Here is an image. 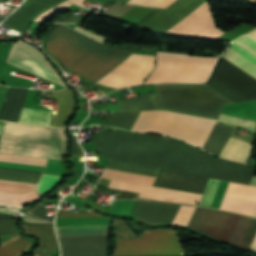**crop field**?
Listing matches in <instances>:
<instances>
[{"label":"crop field","instance_id":"obj_1","mask_svg":"<svg viewBox=\"0 0 256 256\" xmlns=\"http://www.w3.org/2000/svg\"><path fill=\"white\" fill-rule=\"evenodd\" d=\"M95 151L105 158L168 168L222 180L250 184L255 167L220 159L174 139L158 136L98 132Z\"/></svg>","mask_w":256,"mask_h":256},{"label":"crop field","instance_id":"obj_2","mask_svg":"<svg viewBox=\"0 0 256 256\" xmlns=\"http://www.w3.org/2000/svg\"><path fill=\"white\" fill-rule=\"evenodd\" d=\"M66 27L51 26L46 34L45 49L69 69L100 44ZM132 52L101 44L69 70L95 82Z\"/></svg>","mask_w":256,"mask_h":256},{"label":"crop field","instance_id":"obj_3","mask_svg":"<svg viewBox=\"0 0 256 256\" xmlns=\"http://www.w3.org/2000/svg\"><path fill=\"white\" fill-rule=\"evenodd\" d=\"M66 130L5 122L0 152L63 160L69 155Z\"/></svg>","mask_w":256,"mask_h":256},{"label":"crop field","instance_id":"obj_4","mask_svg":"<svg viewBox=\"0 0 256 256\" xmlns=\"http://www.w3.org/2000/svg\"><path fill=\"white\" fill-rule=\"evenodd\" d=\"M155 86L157 92L151 96L156 109L218 118L222 107L233 103L206 84H155Z\"/></svg>","mask_w":256,"mask_h":256},{"label":"crop field","instance_id":"obj_5","mask_svg":"<svg viewBox=\"0 0 256 256\" xmlns=\"http://www.w3.org/2000/svg\"><path fill=\"white\" fill-rule=\"evenodd\" d=\"M215 122L173 112L148 111L141 112L132 130L178 137L203 148Z\"/></svg>","mask_w":256,"mask_h":256},{"label":"crop field","instance_id":"obj_6","mask_svg":"<svg viewBox=\"0 0 256 256\" xmlns=\"http://www.w3.org/2000/svg\"><path fill=\"white\" fill-rule=\"evenodd\" d=\"M216 58L157 52V66L146 83L204 82Z\"/></svg>","mask_w":256,"mask_h":256},{"label":"crop field","instance_id":"obj_7","mask_svg":"<svg viewBox=\"0 0 256 256\" xmlns=\"http://www.w3.org/2000/svg\"><path fill=\"white\" fill-rule=\"evenodd\" d=\"M236 183L209 179L200 205L224 210ZM256 205V187L236 184L226 211L251 215Z\"/></svg>","mask_w":256,"mask_h":256},{"label":"crop field","instance_id":"obj_8","mask_svg":"<svg viewBox=\"0 0 256 256\" xmlns=\"http://www.w3.org/2000/svg\"><path fill=\"white\" fill-rule=\"evenodd\" d=\"M118 239L115 256L183 254L174 233L170 230L146 231L142 239Z\"/></svg>","mask_w":256,"mask_h":256},{"label":"crop field","instance_id":"obj_9","mask_svg":"<svg viewBox=\"0 0 256 256\" xmlns=\"http://www.w3.org/2000/svg\"><path fill=\"white\" fill-rule=\"evenodd\" d=\"M153 65L154 57L132 54L96 83L116 89L141 84Z\"/></svg>","mask_w":256,"mask_h":256},{"label":"crop field","instance_id":"obj_10","mask_svg":"<svg viewBox=\"0 0 256 256\" xmlns=\"http://www.w3.org/2000/svg\"><path fill=\"white\" fill-rule=\"evenodd\" d=\"M165 33L204 39H215L224 34L216 26L206 1Z\"/></svg>","mask_w":256,"mask_h":256},{"label":"crop field","instance_id":"obj_11","mask_svg":"<svg viewBox=\"0 0 256 256\" xmlns=\"http://www.w3.org/2000/svg\"><path fill=\"white\" fill-rule=\"evenodd\" d=\"M6 62L65 86L44 56L20 40L14 43Z\"/></svg>","mask_w":256,"mask_h":256},{"label":"crop field","instance_id":"obj_12","mask_svg":"<svg viewBox=\"0 0 256 256\" xmlns=\"http://www.w3.org/2000/svg\"><path fill=\"white\" fill-rule=\"evenodd\" d=\"M233 130L232 128L215 125L204 149L220 156ZM251 148L252 145L244 141L230 138L220 157L246 163Z\"/></svg>","mask_w":256,"mask_h":256},{"label":"crop field","instance_id":"obj_13","mask_svg":"<svg viewBox=\"0 0 256 256\" xmlns=\"http://www.w3.org/2000/svg\"><path fill=\"white\" fill-rule=\"evenodd\" d=\"M205 0H177L166 9L156 8L136 26L164 33Z\"/></svg>","mask_w":256,"mask_h":256},{"label":"crop field","instance_id":"obj_14","mask_svg":"<svg viewBox=\"0 0 256 256\" xmlns=\"http://www.w3.org/2000/svg\"><path fill=\"white\" fill-rule=\"evenodd\" d=\"M62 256H106L108 235L58 236Z\"/></svg>","mask_w":256,"mask_h":256},{"label":"crop field","instance_id":"obj_15","mask_svg":"<svg viewBox=\"0 0 256 256\" xmlns=\"http://www.w3.org/2000/svg\"><path fill=\"white\" fill-rule=\"evenodd\" d=\"M221 59L256 80V42L249 37L234 40Z\"/></svg>","mask_w":256,"mask_h":256},{"label":"crop field","instance_id":"obj_16","mask_svg":"<svg viewBox=\"0 0 256 256\" xmlns=\"http://www.w3.org/2000/svg\"><path fill=\"white\" fill-rule=\"evenodd\" d=\"M110 188L140 193L139 197L195 205L202 195L112 180Z\"/></svg>","mask_w":256,"mask_h":256},{"label":"crop field","instance_id":"obj_17","mask_svg":"<svg viewBox=\"0 0 256 256\" xmlns=\"http://www.w3.org/2000/svg\"><path fill=\"white\" fill-rule=\"evenodd\" d=\"M207 179L206 177L161 169L154 186L202 194Z\"/></svg>","mask_w":256,"mask_h":256},{"label":"crop field","instance_id":"obj_18","mask_svg":"<svg viewBox=\"0 0 256 256\" xmlns=\"http://www.w3.org/2000/svg\"><path fill=\"white\" fill-rule=\"evenodd\" d=\"M180 206L137 200L132 213L146 223L171 224Z\"/></svg>","mask_w":256,"mask_h":256},{"label":"crop field","instance_id":"obj_19","mask_svg":"<svg viewBox=\"0 0 256 256\" xmlns=\"http://www.w3.org/2000/svg\"><path fill=\"white\" fill-rule=\"evenodd\" d=\"M28 229L29 232L39 235L43 241V247L36 255L48 256L50 251L59 250L53 223L28 225Z\"/></svg>","mask_w":256,"mask_h":256},{"label":"crop field","instance_id":"obj_20","mask_svg":"<svg viewBox=\"0 0 256 256\" xmlns=\"http://www.w3.org/2000/svg\"><path fill=\"white\" fill-rule=\"evenodd\" d=\"M117 100L121 111L155 109L150 95Z\"/></svg>","mask_w":256,"mask_h":256},{"label":"crop field","instance_id":"obj_21","mask_svg":"<svg viewBox=\"0 0 256 256\" xmlns=\"http://www.w3.org/2000/svg\"><path fill=\"white\" fill-rule=\"evenodd\" d=\"M41 173L0 168V179L37 183Z\"/></svg>","mask_w":256,"mask_h":256},{"label":"crop field","instance_id":"obj_22","mask_svg":"<svg viewBox=\"0 0 256 256\" xmlns=\"http://www.w3.org/2000/svg\"><path fill=\"white\" fill-rule=\"evenodd\" d=\"M50 118V111L24 108L19 122L49 126Z\"/></svg>","mask_w":256,"mask_h":256},{"label":"crop field","instance_id":"obj_23","mask_svg":"<svg viewBox=\"0 0 256 256\" xmlns=\"http://www.w3.org/2000/svg\"><path fill=\"white\" fill-rule=\"evenodd\" d=\"M102 177L121 180V181H127V182H133V183H139V184H145V185H151V186L153 185V182L155 179L152 177L140 176V175L129 174V173L113 171L108 169L105 170Z\"/></svg>","mask_w":256,"mask_h":256},{"label":"crop field","instance_id":"obj_24","mask_svg":"<svg viewBox=\"0 0 256 256\" xmlns=\"http://www.w3.org/2000/svg\"><path fill=\"white\" fill-rule=\"evenodd\" d=\"M106 167L113 168V169L136 172V173L145 174V175H153V176L157 175V172H158V169H159V168H156V167L125 163V162L109 160V159L107 161Z\"/></svg>","mask_w":256,"mask_h":256},{"label":"crop field","instance_id":"obj_25","mask_svg":"<svg viewBox=\"0 0 256 256\" xmlns=\"http://www.w3.org/2000/svg\"><path fill=\"white\" fill-rule=\"evenodd\" d=\"M139 114H140V112L110 113L105 124L131 130V128H132L133 124L135 123L136 119L138 118Z\"/></svg>","mask_w":256,"mask_h":256},{"label":"crop field","instance_id":"obj_26","mask_svg":"<svg viewBox=\"0 0 256 256\" xmlns=\"http://www.w3.org/2000/svg\"><path fill=\"white\" fill-rule=\"evenodd\" d=\"M58 235L108 234L109 226L57 228Z\"/></svg>","mask_w":256,"mask_h":256},{"label":"crop field","instance_id":"obj_27","mask_svg":"<svg viewBox=\"0 0 256 256\" xmlns=\"http://www.w3.org/2000/svg\"><path fill=\"white\" fill-rule=\"evenodd\" d=\"M39 197L36 191L26 194L10 193L0 191V204H12L21 206L26 202Z\"/></svg>","mask_w":256,"mask_h":256},{"label":"crop field","instance_id":"obj_28","mask_svg":"<svg viewBox=\"0 0 256 256\" xmlns=\"http://www.w3.org/2000/svg\"><path fill=\"white\" fill-rule=\"evenodd\" d=\"M31 245V241L17 239L0 248V256H18L26 251Z\"/></svg>","mask_w":256,"mask_h":256},{"label":"crop field","instance_id":"obj_29","mask_svg":"<svg viewBox=\"0 0 256 256\" xmlns=\"http://www.w3.org/2000/svg\"><path fill=\"white\" fill-rule=\"evenodd\" d=\"M0 161L44 166L47 159L27 157V156H18V155H9V154H1L0 153Z\"/></svg>","mask_w":256,"mask_h":256},{"label":"crop field","instance_id":"obj_30","mask_svg":"<svg viewBox=\"0 0 256 256\" xmlns=\"http://www.w3.org/2000/svg\"><path fill=\"white\" fill-rule=\"evenodd\" d=\"M135 202L136 200H114L108 212L129 216Z\"/></svg>","mask_w":256,"mask_h":256},{"label":"crop field","instance_id":"obj_31","mask_svg":"<svg viewBox=\"0 0 256 256\" xmlns=\"http://www.w3.org/2000/svg\"><path fill=\"white\" fill-rule=\"evenodd\" d=\"M195 207L182 205L176 217L174 218L172 225L186 227Z\"/></svg>","mask_w":256,"mask_h":256},{"label":"crop field","instance_id":"obj_32","mask_svg":"<svg viewBox=\"0 0 256 256\" xmlns=\"http://www.w3.org/2000/svg\"><path fill=\"white\" fill-rule=\"evenodd\" d=\"M26 16V15H25ZM21 14L14 12L5 22L4 24L13 27L21 32H23L24 28L28 24L30 18L25 17Z\"/></svg>","mask_w":256,"mask_h":256},{"label":"crop field","instance_id":"obj_33","mask_svg":"<svg viewBox=\"0 0 256 256\" xmlns=\"http://www.w3.org/2000/svg\"><path fill=\"white\" fill-rule=\"evenodd\" d=\"M35 189V185L12 183L0 181V190L24 193L29 190Z\"/></svg>","mask_w":256,"mask_h":256},{"label":"crop field","instance_id":"obj_34","mask_svg":"<svg viewBox=\"0 0 256 256\" xmlns=\"http://www.w3.org/2000/svg\"><path fill=\"white\" fill-rule=\"evenodd\" d=\"M218 120L227 122V123H231V124H236V125L252 128V129H254L255 125H256L255 121L237 118V117L228 116V115H223V114L220 115Z\"/></svg>","mask_w":256,"mask_h":256},{"label":"crop field","instance_id":"obj_35","mask_svg":"<svg viewBox=\"0 0 256 256\" xmlns=\"http://www.w3.org/2000/svg\"><path fill=\"white\" fill-rule=\"evenodd\" d=\"M60 177L43 174L40 183L37 185L38 192L42 195L49 190Z\"/></svg>","mask_w":256,"mask_h":256},{"label":"crop field","instance_id":"obj_36","mask_svg":"<svg viewBox=\"0 0 256 256\" xmlns=\"http://www.w3.org/2000/svg\"><path fill=\"white\" fill-rule=\"evenodd\" d=\"M175 0H129L126 3L166 8Z\"/></svg>","mask_w":256,"mask_h":256},{"label":"crop field","instance_id":"obj_37","mask_svg":"<svg viewBox=\"0 0 256 256\" xmlns=\"http://www.w3.org/2000/svg\"><path fill=\"white\" fill-rule=\"evenodd\" d=\"M14 220H4L0 219V236H8L15 234V227L12 225Z\"/></svg>","mask_w":256,"mask_h":256},{"label":"crop field","instance_id":"obj_38","mask_svg":"<svg viewBox=\"0 0 256 256\" xmlns=\"http://www.w3.org/2000/svg\"><path fill=\"white\" fill-rule=\"evenodd\" d=\"M0 167L38 171V172H42L44 168L40 166L23 165V164H15V163H7V162H0Z\"/></svg>","mask_w":256,"mask_h":256},{"label":"crop field","instance_id":"obj_39","mask_svg":"<svg viewBox=\"0 0 256 256\" xmlns=\"http://www.w3.org/2000/svg\"><path fill=\"white\" fill-rule=\"evenodd\" d=\"M64 168L60 164L59 161L50 160L44 173L46 174H54V175H62Z\"/></svg>","mask_w":256,"mask_h":256},{"label":"crop field","instance_id":"obj_40","mask_svg":"<svg viewBox=\"0 0 256 256\" xmlns=\"http://www.w3.org/2000/svg\"><path fill=\"white\" fill-rule=\"evenodd\" d=\"M70 4H71V3L65 1V2H63V3L59 4V5H57L56 7H54V8H52V9H50V10H48V11H46V12L40 14V15L35 19V21H37V22L40 23L44 18H46V17H48L49 15H51V14H53V13H55V12H57V11L63 9V8H65V7H67V6L70 5Z\"/></svg>","mask_w":256,"mask_h":256},{"label":"crop field","instance_id":"obj_41","mask_svg":"<svg viewBox=\"0 0 256 256\" xmlns=\"http://www.w3.org/2000/svg\"><path fill=\"white\" fill-rule=\"evenodd\" d=\"M47 211H48L47 209H43V208L37 207V208L31 210L28 213H30V214H32V215H34L36 217L42 218L44 220H47V221H53L54 217L46 216Z\"/></svg>","mask_w":256,"mask_h":256},{"label":"crop field","instance_id":"obj_42","mask_svg":"<svg viewBox=\"0 0 256 256\" xmlns=\"http://www.w3.org/2000/svg\"><path fill=\"white\" fill-rule=\"evenodd\" d=\"M86 16H63L57 22L82 23Z\"/></svg>","mask_w":256,"mask_h":256},{"label":"crop field","instance_id":"obj_43","mask_svg":"<svg viewBox=\"0 0 256 256\" xmlns=\"http://www.w3.org/2000/svg\"><path fill=\"white\" fill-rule=\"evenodd\" d=\"M70 140H72L71 143H70V146H71V149H72L71 155H82V154H84L82 149L80 148V146L78 145V143L76 141V137L70 136Z\"/></svg>","mask_w":256,"mask_h":256},{"label":"crop field","instance_id":"obj_44","mask_svg":"<svg viewBox=\"0 0 256 256\" xmlns=\"http://www.w3.org/2000/svg\"><path fill=\"white\" fill-rule=\"evenodd\" d=\"M82 216H100L95 212H82V213H65L61 212L59 217H82Z\"/></svg>","mask_w":256,"mask_h":256},{"label":"crop field","instance_id":"obj_45","mask_svg":"<svg viewBox=\"0 0 256 256\" xmlns=\"http://www.w3.org/2000/svg\"><path fill=\"white\" fill-rule=\"evenodd\" d=\"M75 30H78V31L84 33L86 36L91 37V38H94V39H96V40H99V41H101V42H103V43H104V41H105V38H103V37H101V36H98V35H96V34H94V33H91V32H89V31H87V30H85V29H82V28L78 27V26H76Z\"/></svg>","mask_w":256,"mask_h":256},{"label":"crop field","instance_id":"obj_46","mask_svg":"<svg viewBox=\"0 0 256 256\" xmlns=\"http://www.w3.org/2000/svg\"><path fill=\"white\" fill-rule=\"evenodd\" d=\"M250 185L256 186V177L255 176L253 177L252 182H251ZM252 216L256 217V207H255V210H254ZM250 251H253L254 253H256V237H255V240H254V242H253V244L250 248Z\"/></svg>","mask_w":256,"mask_h":256},{"label":"crop field","instance_id":"obj_47","mask_svg":"<svg viewBox=\"0 0 256 256\" xmlns=\"http://www.w3.org/2000/svg\"><path fill=\"white\" fill-rule=\"evenodd\" d=\"M246 34H248L249 36H251L252 38H254L256 40V29H254Z\"/></svg>","mask_w":256,"mask_h":256},{"label":"crop field","instance_id":"obj_48","mask_svg":"<svg viewBox=\"0 0 256 256\" xmlns=\"http://www.w3.org/2000/svg\"><path fill=\"white\" fill-rule=\"evenodd\" d=\"M128 47L141 48V49H149V50H153L154 49V48H150V47H141V46H133V45H129Z\"/></svg>","mask_w":256,"mask_h":256},{"label":"crop field","instance_id":"obj_49","mask_svg":"<svg viewBox=\"0 0 256 256\" xmlns=\"http://www.w3.org/2000/svg\"><path fill=\"white\" fill-rule=\"evenodd\" d=\"M69 1L74 2L80 6L82 5V0H69Z\"/></svg>","mask_w":256,"mask_h":256},{"label":"crop field","instance_id":"obj_50","mask_svg":"<svg viewBox=\"0 0 256 256\" xmlns=\"http://www.w3.org/2000/svg\"><path fill=\"white\" fill-rule=\"evenodd\" d=\"M158 256H185V255H158Z\"/></svg>","mask_w":256,"mask_h":256},{"label":"crop field","instance_id":"obj_51","mask_svg":"<svg viewBox=\"0 0 256 256\" xmlns=\"http://www.w3.org/2000/svg\"><path fill=\"white\" fill-rule=\"evenodd\" d=\"M1 127H2V125H0V132H1Z\"/></svg>","mask_w":256,"mask_h":256}]
</instances>
